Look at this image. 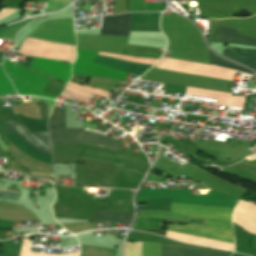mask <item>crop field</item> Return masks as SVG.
<instances>
[{
    "label": "crop field",
    "mask_w": 256,
    "mask_h": 256,
    "mask_svg": "<svg viewBox=\"0 0 256 256\" xmlns=\"http://www.w3.org/2000/svg\"><path fill=\"white\" fill-rule=\"evenodd\" d=\"M162 221L179 222V223H198V224H203L204 223V221L193 220V219H188L187 221H184V220H171V219H156V218L137 217L133 228H162L161 225H160V223Z\"/></svg>",
    "instance_id": "733c2abd"
},
{
    "label": "crop field",
    "mask_w": 256,
    "mask_h": 256,
    "mask_svg": "<svg viewBox=\"0 0 256 256\" xmlns=\"http://www.w3.org/2000/svg\"><path fill=\"white\" fill-rule=\"evenodd\" d=\"M13 221H0V227L4 229H12Z\"/></svg>",
    "instance_id": "ae1a2a85"
},
{
    "label": "crop field",
    "mask_w": 256,
    "mask_h": 256,
    "mask_svg": "<svg viewBox=\"0 0 256 256\" xmlns=\"http://www.w3.org/2000/svg\"><path fill=\"white\" fill-rule=\"evenodd\" d=\"M3 247H0V254H1V250H2Z\"/></svg>",
    "instance_id": "120bbe31"
},
{
    "label": "crop field",
    "mask_w": 256,
    "mask_h": 256,
    "mask_svg": "<svg viewBox=\"0 0 256 256\" xmlns=\"http://www.w3.org/2000/svg\"><path fill=\"white\" fill-rule=\"evenodd\" d=\"M223 55L254 69L256 68V50L226 48Z\"/></svg>",
    "instance_id": "5142ce71"
},
{
    "label": "crop field",
    "mask_w": 256,
    "mask_h": 256,
    "mask_svg": "<svg viewBox=\"0 0 256 256\" xmlns=\"http://www.w3.org/2000/svg\"><path fill=\"white\" fill-rule=\"evenodd\" d=\"M209 61H210V65L211 64H215V65H218V66H222V67H225V68H232V69H236V70H239V71H243V72H246V73H250V74H254L252 71L250 70H247L239 65H236L228 60H224L216 55H214L211 51L209 53Z\"/></svg>",
    "instance_id": "92a150f3"
},
{
    "label": "crop field",
    "mask_w": 256,
    "mask_h": 256,
    "mask_svg": "<svg viewBox=\"0 0 256 256\" xmlns=\"http://www.w3.org/2000/svg\"><path fill=\"white\" fill-rule=\"evenodd\" d=\"M165 60L166 59L161 58L159 62L153 67L160 69L162 64L165 62ZM161 69L208 76V77H215V78H221V79H227V80H232L233 75L237 72L236 70L225 69V68L214 66V65L207 66L202 64H196V63L179 61V60H171V59H167ZM243 74H246V73H243ZM186 93L204 96V97L217 98L216 103L218 104H228L230 106H237V107L244 106L245 97L231 96L229 94L217 93V92L189 88V87H187Z\"/></svg>",
    "instance_id": "ac0d7876"
},
{
    "label": "crop field",
    "mask_w": 256,
    "mask_h": 256,
    "mask_svg": "<svg viewBox=\"0 0 256 256\" xmlns=\"http://www.w3.org/2000/svg\"><path fill=\"white\" fill-rule=\"evenodd\" d=\"M160 15L161 13L131 14V31H160Z\"/></svg>",
    "instance_id": "28ad6ade"
},
{
    "label": "crop field",
    "mask_w": 256,
    "mask_h": 256,
    "mask_svg": "<svg viewBox=\"0 0 256 256\" xmlns=\"http://www.w3.org/2000/svg\"><path fill=\"white\" fill-rule=\"evenodd\" d=\"M100 91H102V90H100ZM104 92H106V91H104ZM109 93V92H108Z\"/></svg>",
    "instance_id": "d32e631a"
},
{
    "label": "crop field",
    "mask_w": 256,
    "mask_h": 256,
    "mask_svg": "<svg viewBox=\"0 0 256 256\" xmlns=\"http://www.w3.org/2000/svg\"><path fill=\"white\" fill-rule=\"evenodd\" d=\"M142 242L130 243L125 241L124 255L125 256H142ZM143 256H161V244L143 242Z\"/></svg>",
    "instance_id": "22f410ed"
},
{
    "label": "crop field",
    "mask_w": 256,
    "mask_h": 256,
    "mask_svg": "<svg viewBox=\"0 0 256 256\" xmlns=\"http://www.w3.org/2000/svg\"><path fill=\"white\" fill-rule=\"evenodd\" d=\"M153 169H156V170H159V171H162V172H165V173H167V174H169V175H171L172 177H176V175H177V173L176 172H174V171H172L171 169H169V168H166V169H164V168H162V167H159V166H153Z\"/></svg>",
    "instance_id": "eef30255"
},
{
    "label": "crop field",
    "mask_w": 256,
    "mask_h": 256,
    "mask_svg": "<svg viewBox=\"0 0 256 256\" xmlns=\"http://www.w3.org/2000/svg\"><path fill=\"white\" fill-rule=\"evenodd\" d=\"M31 68L53 75L66 83L71 74V65L56 60L36 58Z\"/></svg>",
    "instance_id": "5a996713"
},
{
    "label": "crop field",
    "mask_w": 256,
    "mask_h": 256,
    "mask_svg": "<svg viewBox=\"0 0 256 256\" xmlns=\"http://www.w3.org/2000/svg\"><path fill=\"white\" fill-rule=\"evenodd\" d=\"M79 157L112 163L110 168L144 175L149 165L145 156L122 148L119 152L84 145Z\"/></svg>",
    "instance_id": "34b2d1b8"
},
{
    "label": "crop field",
    "mask_w": 256,
    "mask_h": 256,
    "mask_svg": "<svg viewBox=\"0 0 256 256\" xmlns=\"http://www.w3.org/2000/svg\"><path fill=\"white\" fill-rule=\"evenodd\" d=\"M97 52L77 50V59L73 65V73L124 80L126 72L111 69L92 63Z\"/></svg>",
    "instance_id": "e52e79f7"
},
{
    "label": "crop field",
    "mask_w": 256,
    "mask_h": 256,
    "mask_svg": "<svg viewBox=\"0 0 256 256\" xmlns=\"http://www.w3.org/2000/svg\"><path fill=\"white\" fill-rule=\"evenodd\" d=\"M145 181L163 183V184H166V182H167L166 178L158 176V175L150 174V173L148 174Z\"/></svg>",
    "instance_id": "4177f3b9"
},
{
    "label": "crop field",
    "mask_w": 256,
    "mask_h": 256,
    "mask_svg": "<svg viewBox=\"0 0 256 256\" xmlns=\"http://www.w3.org/2000/svg\"><path fill=\"white\" fill-rule=\"evenodd\" d=\"M3 132H5V130H4V128H3L2 124H1V120H0V134L3 133Z\"/></svg>",
    "instance_id": "bd1437ed"
},
{
    "label": "crop field",
    "mask_w": 256,
    "mask_h": 256,
    "mask_svg": "<svg viewBox=\"0 0 256 256\" xmlns=\"http://www.w3.org/2000/svg\"><path fill=\"white\" fill-rule=\"evenodd\" d=\"M19 192L0 189V198L16 199Z\"/></svg>",
    "instance_id": "730fd06b"
},
{
    "label": "crop field",
    "mask_w": 256,
    "mask_h": 256,
    "mask_svg": "<svg viewBox=\"0 0 256 256\" xmlns=\"http://www.w3.org/2000/svg\"><path fill=\"white\" fill-rule=\"evenodd\" d=\"M21 139L33 148L51 156V145L48 138V132L31 134L23 125H19L14 120L5 122ZM14 132L5 135L14 145L27 155L40 161L51 164V157L44 155L28 144L22 141Z\"/></svg>",
    "instance_id": "412701ff"
},
{
    "label": "crop field",
    "mask_w": 256,
    "mask_h": 256,
    "mask_svg": "<svg viewBox=\"0 0 256 256\" xmlns=\"http://www.w3.org/2000/svg\"><path fill=\"white\" fill-rule=\"evenodd\" d=\"M118 59H121V58H118ZM122 60L130 61V62H136V63L149 64V65L155 64V63H150V62H140V61L127 60V59H122Z\"/></svg>",
    "instance_id": "750c4746"
},
{
    "label": "crop field",
    "mask_w": 256,
    "mask_h": 256,
    "mask_svg": "<svg viewBox=\"0 0 256 256\" xmlns=\"http://www.w3.org/2000/svg\"><path fill=\"white\" fill-rule=\"evenodd\" d=\"M50 135L55 134H70V135H86L100 137L107 140L115 141L107 136L98 134L91 131H83V129H74V128H58V129H49ZM70 135H55L50 136L51 143H79V144H90L97 145L113 150L119 151L123 145L115 142L107 141L100 138L86 137V136H70Z\"/></svg>",
    "instance_id": "dd49c442"
},
{
    "label": "crop field",
    "mask_w": 256,
    "mask_h": 256,
    "mask_svg": "<svg viewBox=\"0 0 256 256\" xmlns=\"http://www.w3.org/2000/svg\"><path fill=\"white\" fill-rule=\"evenodd\" d=\"M64 114L65 110L54 107L49 121V128L65 127Z\"/></svg>",
    "instance_id": "dafd665d"
},
{
    "label": "crop field",
    "mask_w": 256,
    "mask_h": 256,
    "mask_svg": "<svg viewBox=\"0 0 256 256\" xmlns=\"http://www.w3.org/2000/svg\"><path fill=\"white\" fill-rule=\"evenodd\" d=\"M41 107V113H42V118H46V103L40 101L38 102Z\"/></svg>",
    "instance_id": "d3111659"
},
{
    "label": "crop field",
    "mask_w": 256,
    "mask_h": 256,
    "mask_svg": "<svg viewBox=\"0 0 256 256\" xmlns=\"http://www.w3.org/2000/svg\"><path fill=\"white\" fill-rule=\"evenodd\" d=\"M113 201L121 202L119 204L114 203ZM99 209L104 210H116V211H124V212H133L132 201L127 200H115L109 199L102 207Z\"/></svg>",
    "instance_id": "bc2a9ffb"
},
{
    "label": "crop field",
    "mask_w": 256,
    "mask_h": 256,
    "mask_svg": "<svg viewBox=\"0 0 256 256\" xmlns=\"http://www.w3.org/2000/svg\"><path fill=\"white\" fill-rule=\"evenodd\" d=\"M10 108L13 114H22L26 117L41 119L40 108L35 102L25 105H16Z\"/></svg>",
    "instance_id": "4a817a6b"
},
{
    "label": "crop field",
    "mask_w": 256,
    "mask_h": 256,
    "mask_svg": "<svg viewBox=\"0 0 256 256\" xmlns=\"http://www.w3.org/2000/svg\"><path fill=\"white\" fill-rule=\"evenodd\" d=\"M171 209L192 218L231 222L232 211L234 208L172 203ZM172 210L171 212L139 210L137 216H151L186 220V216ZM211 220H206L205 226L195 224H168L166 228L168 231L234 243L231 223Z\"/></svg>",
    "instance_id": "8a807250"
},
{
    "label": "crop field",
    "mask_w": 256,
    "mask_h": 256,
    "mask_svg": "<svg viewBox=\"0 0 256 256\" xmlns=\"http://www.w3.org/2000/svg\"><path fill=\"white\" fill-rule=\"evenodd\" d=\"M133 214L96 210L91 220L114 221L120 223H131Z\"/></svg>",
    "instance_id": "d9b57169"
},
{
    "label": "crop field",
    "mask_w": 256,
    "mask_h": 256,
    "mask_svg": "<svg viewBox=\"0 0 256 256\" xmlns=\"http://www.w3.org/2000/svg\"><path fill=\"white\" fill-rule=\"evenodd\" d=\"M252 22L256 25V16H255V18H254V20Z\"/></svg>",
    "instance_id": "1d83c4d3"
},
{
    "label": "crop field",
    "mask_w": 256,
    "mask_h": 256,
    "mask_svg": "<svg viewBox=\"0 0 256 256\" xmlns=\"http://www.w3.org/2000/svg\"><path fill=\"white\" fill-rule=\"evenodd\" d=\"M15 91L12 87L11 82L3 73L2 67L0 65V96L14 94Z\"/></svg>",
    "instance_id": "00972430"
},
{
    "label": "crop field",
    "mask_w": 256,
    "mask_h": 256,
    "mask_svg": "<svg viewBox=\"0 0 256 256\" xmlns=\"http://www.w3.org/2000/svg\"><path fill=\"white\" fill-rule=\"evenodd\" d=\"M164 256H230L229 253L165 245Z\"/></svg>",
    "instance_id": "cbeb9de0"
},
{
    "label": "crop field",
    "mask_w": 256,
    "mask_h": 256,
    "mask_svg": "<svg viewBox=\"0 0 256 256\" xmlns=\"http://www.w3.org/2000/svg\"><path fill=\"white\" fill-rule=\"evenodd\" d=\"M130 14L103 17L101 35L128 37Z\"/></svg>",
    "instance_id": "d8731c3e"
},
{
    "label": "crop field",
    "mask_w": 256,
    "mask_h": 256,
    "mask_svg": "<svg viewBox=\"0 0 256 256\" xmlns=\"http://www.w3.org/2000/svg\"><path fill=\"white\" fill-rule=\"evenodd\" d=\"M122 54L128 55V56H139L144 58H156V59H159V57L161 56V54L159 53L143 52V51L128 50V49H124Z\"/></svg>",
    "instance_id": "a9b5d70f"
},
{
    "label": "crop field",
    "mask_w": 256,
    "mask_h": 256,
    "mask_svg": "<svg viewBox=\"0 0 256 256\" xmlns=\"http://www.w3.org/2000/svg\"><path fill=\"white\" fill-rule=\"evenodd\" d=\"M3 67L20 95H37L55 99L56 96L41 93L49 77L4 60Z\"/></svg>",
    "instance_id": "f4fd0767"
},
{
    "label": "crop field",
    "mask_w": 256,
    "mask_h": 256,
    "mask_svg": "<svg viewBox=\"0 0 256 256\" xmlns=\"http://www.w3.org/2000/svg\"><path fill=\"white\" fill-rule=\"evenodd\" d=\"M238 29L217 25L211 42H224L256 46V39L237 33Z\"/></svg>",
    "instance_id": "3316defc"
},
{
    "label": "crop field",
    "mask_w": 256,
    "mask_h": 256,
    "mask_svg": "<svg viewBox=\"0 0 256 256\" xmlns=\"http://www.w3.org/2000/svg\"><path fill=\"white\" fill-rule=\"evenodd\" d=\"M94 62L108 65L116 69L124 70L126 72H129L138 76L142 75L144 72H146L149 68L152 67L149 65L130 63V62H126V61H122L114 58L103 57L99 55L97 56Z\"/></svg>",
    "instance_id": "d1516ede"
},
{
    "label": "crop field",
    "mask_w": 256,
    "mask_h": 256,
    "mask_svg": "<svg viewBox=\"0 0 256 256\" xmlns=\"http://www.w3.org/2000/svg\"><path fill=\"white\" fill-rule=\"evenodd\" d=\"M91 93L84 92L82 90L76 89L74 87L68 86L65 91L62 93L61 97L71 100H77L82 102H88Z\"/></svg>",
    "instance_id": "214f88e0"
}]
</instances>
